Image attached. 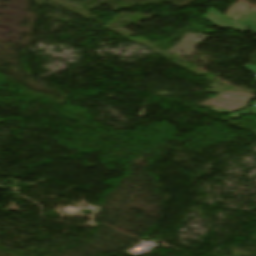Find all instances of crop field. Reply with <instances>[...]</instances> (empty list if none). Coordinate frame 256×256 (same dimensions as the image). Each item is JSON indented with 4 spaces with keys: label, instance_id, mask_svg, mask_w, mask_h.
Here are the masks:
<instances>
[{
    "label": "crop field",
    "instance_id": "crop-field-2",
    "mask_svg": "<svg viewBox=\"0 0 256 256\" xmlns=\"http://www.w3.org/2000/svg\"><path fill=\"white\" fill-rule=\"evenodd\" d=\"M249 71L256 73V67L252 66V65H247L245 66Z\"/></svg>",
    "mask_w": 256,
    "mask_h": 256
},
{
    "label": "crop field",
    "instance_id": "crop-field-1",
    "mask_svg": "<svg viewBox=\"0 0 256 256\" xmlns=\"http://www.w3.org/2000/svg\"><path fill=\"white\" fill-rule=\"evenodd\" d=\"M214 16H216V17H214ZM205 17L208 18L211 22H213L218 27L234 28L235 30H238L241 32H248V31L242 29L241 27L250 26L255 30V33H256V29H255L256 28V13H254L244 19H241V20H238L235 22H231L226 17L221 16L218 11H216L215 9H212ZM227 24H229V26H226Z\"/></svg>",
    "mask_w": 256,
    "mask_h": 256
}]
</instances>
